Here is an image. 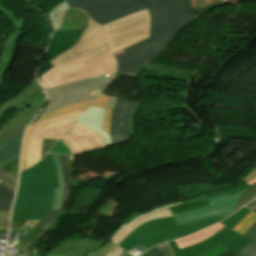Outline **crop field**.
Segmentation results:
<instances>
[{"mask_svg": "<svg viewBox=\"0 0 256 256\" xmlns=\"http://www.w3.org/2000/svg\"><path fill=\"white\" fill-rule=\"evenodd\" d=\"M62 1L66 3L67 8L78 7L86 10L92 20L102 25L148 8L149 37L114 53L118 63L117 73L126 76H137L142 66L150 63L167 48L170 40L180 29L201 17L191 10L188 0Z\"/></svg>", "mask_w": 256, "mask_h": 256, "instance_id": "1", "label": "crop field"}, {"mask_svg": "<svg viewBox=\"0 0 256 256\" xmlns=\"http://www.w3.org/2000/svg\"><path fill=\"white\" fill-rule=\"evenodd\" d=\"M53 187H58L51 154L21 172L20 185L11 221L42 219L53 202Z\"/></svg>", "mask_w": 256, "mask_h": 256, "instance_id": "2", "label": "crop field"}, {"mask_svg": "<svg viewBox=\"0 0 256 256\" xmlns=\"http://www.w3.org/2000/svg\"><path fill=\"white\" fill-rule=\"evenodd\" d=\"M80 56L86 62L62 74L54 67L42 74L39 78L42 86L47 89L96 75L115 72V60L107 47L106 41L87 50Z\"/></svg>", "mask_w": 256, "mask_h": 256, "instance_id": "3", "label": "crop field"}, {"mask_svg": "<svg viewBox=\"0 0 256 256\" xmlns=\"http://www.w3.org/2000/svg\"><path fill=\"white\" fill-rule=\"evenodd\" d=\"M224 218L221 217L180 226L176 225L173 217L152 220L134 229L125 240L123 239L124 241L122 240L123 242L119 246L130 251L141 243L145 247L150 248L167 240L190 235Z\"/></svg>", "mask_w": 256, "mask_h": 256, "instance_id": "4", "label": "crop field"}, {"mask_svg": "<svg viewBox=\"0 0 256 256\" xmlns=\"http://www.w3.org/2000/svg\"><path fill=\"white\" fill-rule=\"evenodd\" d=\"M115 73L47 89L49 102L40 116L81 100L98 97L101 91L114 79Z\"/></svg>", "mask_w": 256, "mask_h": 256, "instance_id": "5", "label": "crop field"}, {"mask_svg": "<svg viewBox=\"0 0 256 256\" xmlns=\"http://www.w3.org/2000/svg\"><path fill=\"white\" fill-rule=\"evenodd\" d=\"M112 53L133 44L149 35L148 10L130 14L104 25Z\"/></svg>", "mask_w": 256, "mask_h": 256, "instance_id": "6", "label": "crop field"}, {"mask_svg": "<svg viewBox=\"0 0 256 256\" xmlns=\"http://www.w3.org/2000/svg\"><path fill=\"white\" fill-rule=\"evenodd\" d=\"M45 99V93L42 91L37 81L34 80L20 95L11 98L3 104L0 108V116L6 112L4 110L12 106L17 108L20 112L0 129V135L35 116L44 105Z\"/></svg>", "mask_w": 256, "mask_h": 256, "instance_id": "7", "label": "crop field"}, {"mask_svg": "<svg viewBox=\"0 0 256 256\" xmlns=\"http://www.w3.org/2000/svg\"><path fill=\"white\" fill-rule=\"evenodd\" d=\"M83 112H77L37 123L29 138L26 168L40 160L42 138L58 139L71 125L74 119Z\"/></svg>", "mask_w": 256, "mask_h": 256, "instance_id": "8", "label": "crop field"}, {"mask_svg": "<svg viewBox=\"0 0 256 256\" xmlns=\"http://www.w3.org/2000/svg\"><path fill=\"white\" fill-rule=\"evenodd\" d=\"M250 240L236 234L226 227H222L216 234L205 241L179 249L175 241L168 242L175 256H198L218 245H223L234 253H238Z\"/></svg>", "mask_w": 256, "mask_h": 256, "instance_id": "9", "label": "crop field"}, {"mask_svg": "<svg viewBox=\"0 0 256 256\" xmlns=\"http://www.w3.org/2000/svg\"><path fill=\"white\" fill-rule=\"evenodd\" d=\"M104 39L103 27L89 20L84 33L75 46L51 60V63L61 73L84 62L79 55Z\"/></svg>", "mask_w": 256, "mask_h": 256, "instance_id": "10", "label": "crop field"}, {"mask_svg": "<svg viewBox=\"0 0 256 256\" xmlns=\"http://www.w3.org/2000/svg\"><path fill=\"white\" fill-rule=\"evenodd\" d=\"M244 190L211 198L209 199L211 206L175 214L174 218L177 224L180 225L230 215L232 214L236 200Z\"/></svg>", "mask_w": 256, "mask_h": 256, "instance_id": "11", "label": "crop field"}, {"mask_svg": "<svg viewBox=\"0 0 256 256\" xmlns=\"http://www.w3.org/2000/svg\"><path fill=\"white\" fill-rule=\"evenodd\" d=\"M60 140L69 147L72 155L106 146L99 134L77 123Z\"/></svg>", "mask_w": 256, "mask_h": 256, "instance_id": "12", "label": "crop field"}, {"mask_svg": "<svg viewBox=\"0 0 256 256\" xmlns=\"http://www.w3.org/2000/svg\"><path fill=\"white\" fill-rule=\"evenodd\" d=\"M136 101L117 98L110 119V136L112 143L129 140V116Z\"/></svg>", "mask_w": 256, "mask_h": 256, "instance_id": "13", "label": "crop field"}, {"mask_svg": "<svg viewBox=\"0 0 256 256\" xmlns=\"http://www.w3.org/2000/svg\"><path fill=\"white\" fill-rule=\"evenodd\" d=\"M0 11L9 15V19H11L16 26V30H19V34L15 32V34H10L8 38L4 41L0 52V88H2L4 84V71L10 68L11 63L13 62V58L15 56L17 43L21 39L22 30L24 25H26V20L17 17V14L9 13L4 8L0 7Z\"/></svg>", "mask_w": 256, "mask_h": 256, "instance_id": "14", "label": "crop field"}, {"mask_svg": "<svg viewBox=\"0 0 256 256\" xmlns=\"http://www.w3.org/2000/svg\"><path fill=\"white\" fill-rule=\"evenodd\" d=\"M107 242L105 239L98 242L85 237L77 241H68L43 256H86L85 253L96 250Z\"/></svg>", "mask_w": 256, "mask_h": 256, "instance_id": "15", "label": "crop field"}, {"mask_svg": "<svg viewBox=\"0 0 256 256\" xmlns=\"http://www.w3.org/2000/svg\"><path fill=\"white\" fill-rule=\"evenodd\" d=\"M183 202H177L171 205H167L158 209H155L153 211H150L148 213H144L142 215H139L138 217H136L134 220L130 221L129 223H127L126 225L122 224L117 231L110 237L111 242L115 243V244H119L123 239H125L128 234L137 226H139L140 224L148 221V220H152V219H156V218H160V217H171L172 214L170 213L168 207L170 206H174V205H178L181 204Z\"/></svg>", "mask_w": 256, "mask_h": 256, "instance_id": "16", "label": "crop field"}, {"mask_svg": "<svg viewBox=\"0 0 256 256\" xmlns=\"http://www.w3.org/2000/svg\"><path fill=\"white\" fill-rule=\"evenodd\" d=\"M96 99L81 101L77 104L69 105V106H67L63 109H59V110L51 112L47 115H44V116L38 118L36 121H34L28 127L27 132H26V136H25V140H24V146H23V153H22L21 170L25 169V166H26V152H27L28 137L30 135L31 129L34 127V125L37 122L44 121L48 118L58 117V116L66 115V114H69V113L86 110L87 108H89L95 102Z\"/></svg>", "mask_w": 256, "mask_h": 256, "instance_id": "17", "label": "crop field"}, {"mask_svg": "<svg viewBox=\"0 0 256 256\" xmlns=\"http://www.w3.org/2000/svg\"><path fill=\"white\" fill-rule=\"evenodd\" d=\"M104 109L92 106L82 116H80L75 122L85 125L92 130L99 133L105 140L107 146L112 145L110 136L102 130V123L104 117Z\"/></svg>", "mask_w": 256, "mask_h": 256, "instance_id": "18", "label": "crop field"}, {"mask_svg": "<svg viewBox=\"0 0 256 256\" xmlns=\"http://www.w3.org/2000/svg\"><path fill=\"white\" fill-rule=\"evenodd\" d=\"M23 132L24 130L0 143L1 168L18 159Z\"/></svg>", "mask_w": 256, "mask_h": 256, "instance_id": "19", "label": "crop field"}, {"mask_svg": "<svg viewBox=\"0 0 256 256\" xmlns=\"http://www.w3.org/2000/svg\"><path fill=\"white\" fill-rule=\"evenodd\" d=\"M89 17L80 9H68L65 11L59 30L84 29Z\"/></svg>", "mask_w": 256, "mask_h": 256, "instance_id": "20", "label": "crop field"}, {"mask_svg": "<svg viewBox=\"0 0 256 256\" xmlns=\"http://www.w3.org/2000/svg\"><path fill=\"white\" fill-rule=\"evenodd\" d=\"M60 157V162H61V166H62V170H63V174H64V182H65V188H63V197H62V203L61 206L59 208V210H55L54 213L51 215L50 219L45 223V225L43 226V228L48 229V227L52 224V222L56 219L58 213L63 210L67 199L70 196V187H69V176H68V167H67V163H66V158L63 155H59Z\"/></svg>", "mask_w": 256, "mask_h": 256, "instance_id": "21", "label": "crop field"}, {"mask_svg": "<svg viewBox=\"0 0 256 256\" xmlns=\"http://www.w3.org/2000/svg\"><path fill=\"white\" fill-rule=\"evenodd\" d=\"M222 226L223 225H221V224L214 225L212 227H209V228H207L203 231H200L196 234H193L191 236L176 240V243L178 244L179 248H183V247L191 245L193 243L202 241V240L210 237L214 233H216Z\"/></svg>", "mask_w": 256, "mask_h": 256, "instance_id": "22", "label": "crop field"}, {"mask_svg": "<svg viewBox=\"0 0 256 256\" xmlns=\"http://www.w3.org/2000/svg\"><path fill=\"white\" fill-rule=\"evenodd\" d=\"M252 239L237 255L239 256H256V222L243 234Z\"/></svg>", "mask_w": 256, "mask_h": 256, "instance_id": "23", "label": "crop field"}, {"mask_svg": "<svg viewBox=\"0 0 256 256\" xmlns=\"http://www.w3.org/2000/svg\"><path fill=\"white\" fill-rule=\"evenodd\" d=\"M52 155L55 161V167H56L57 177L59 181V188H54V202L51 208L58 209L61 202L62 187H64V182H63V175L60 167L59 157L56 154H52Z\"/></svg>", "mask_w": 256, "mask_h": 256, "instance_id": "24", "label": "crop field"}, {"mask_svg": "<svg viewBox=\"0 0 256 256\" xmlns=\"http://www.w3.org/2000/svg\"><path fill=\"white\" fill-rule=\"evenodd\" d=\"M48 233V230L41 228L29 241L27 246L24 248L27 252L26 256H42L37 250L36 246L40 239ZM43 239V238H42Z\"/></svg>", "mask_w": 256, "mask_h": 256, "instance_id": "25", "label": "crop field"}, {"mask_svg": "<svg viewBox=\"0 0 256 256\" xmlns=\"http://www.w3.org/2000/svg\"><path fill=\"white\" fill-rule=\"evenodd\" d=\"M65 8H66L65 4H64V2H62L58 5H56L55 7H53L47 14L49 23H50V27L52 30L57 29Z\"/></svg>", "mask_w": 256, "mask_h": 256, "instance_id": "26", "label": "crop field"}, {"mask_svg": "<svg viewBox=\"0 0 256 256\" xmlns=\"http://www.w3.org/2000/svg\"><path fill=\"white\" fill-rule=\"evenodd\" d=\"M255 221L256 215L250 211L232 230L242 235L248 229V227Z\"/></svg>", "mask_w": 256, "mask_h": 256, "instance_id": "27", "label": "crop field"}, {"mask_svg": "<svg viewBox=\"0 0 256 256\" xmlns=\"http://www.w3.org/2000/svg\"><path fill=\"white\" fill-rule=\"evenodd\" d=\"M255 197H256V183L248 187V189L242 193V195L240 196V198L236 203L235 211L245 203L254 199Z\"/></svg>", "mask_w": 256, "mask_h": 256, "instance_id": "28", "label": "crop field"}, {"mask_svg": "<svg viewBox=\"0 0 256 256\" xmlns=\"http://www.w3.org/2000/svg\"><path fill=\"white\" fill-rule=\"evenodd\" d=\"M14 194L5 186L0 188V210L11 207Z\"/></svg>", "mask_w": 256, "mask_h": 256, "instance_id": "29", "label": "crop field"}, {"mask_svg": "<svg viewBox=\"0 0 256 256\" xmlns=\"http://www.w3.org/2000/svg\"><path fill=\"white\" fill-rule=\"evenodd\" d=\"M108 95L101 94L100 98L98 99L97 103L94 106L104 108L106 107ZM111 115V110L106 109L104 123H103V130L109 133V119Z\"/></svg>", "mask_w": 256, "mask_h": 256, "instance_id": "30", "label": "crop field"}, {"mask_svg": "<svg viewBox=\"0 0 256 256\" xmlns=\"http://www.w3.org/2000/svg\"><path fill=\"white\" fill-rule=\"evenodd\" d=\"M249 211L250 210L247 207H244L221 223L232 229Z\"/></svg>", "mask_w": 256, "mask_h": 256, "instance_id": "31", "label": "crop field"}, {"mask_svg": "<svg viewBox=\"0 0 256 256\" xmlns=\"http://www.w3.org/2000/svg\"><path fill=\"white\" fill-rule=\"evenodd\" d=\"M53 209L45 215V217L30 231V233L25 236L18 245L22 248L24 244L44 225V223L49 219L50 215L53 213Z\"/></svg>", "mask_w": 256, "mask_h": 256, "instance_id": "32", "label": "crop field"}, {"mask_svg": "<svg viewBox=\"0 0 256 256\" xmlns=\"http://www.w3.org/2000/svg\"><path fill=\"white\" fill-rule=\"evenodd\" d=\"M0 181L11 191H15L17 181L0 168Z\"/></svg>", "mask_w": 256, "mask_h": 256, "instance_id": "33", "label": "crop field"}, {"mask_svg": "<svg viewBox=\"0 0 256 256\" xmlns=\"http://www.w3.org/2000/svg\"><path fill=\"white\" fill-rule=\"evenodd\" d=\"M117 245L112 244L110 241L101 247L99 250H96L92 253H88L87 256H104L107 254L109 251H111L113 248H115Z\"/></svg>", "mask_w": 256, "mask_h": 256, "instance_id": "34", "label": "crop field"}, {"mask_svg": "<svg viewBox=\"0 0 256 256\" xmlns=\"http://www.w3.org/2000/svg\"><path fill=\"white\" fill-rule=\"evenodd\" d=\"M48 153H62L66 155H71L70 150L60 140L56 143V145L53 148L50 149Z\"/></svg>", "mask_w": 256, "mask_h": 256, "instance_id": "35", "label": "crop field"}, {"mask_svg": "<svg viewBox=\"0 0 256 256\" xmlns=\"http://www.w3.org/2000/svg\"><path fill=\"white\" fill-rule=\"evenodd\" d=\"M31 119H33V118H31ZM31 119L25 121V122H24L23 124H21L20 126L14 128V129H12L11 131L7 132L6 134H4V135H2V136H0V142L3 141V140H5V139H7L8 137L14 135L15 133H17V132H19V131L25 129L26 125L29 123V121H30Z\"/></svg>", "mask_w": 256, "mask_h": 256, "instance_id": "36", "label": "crop field"}, {"mask_svg": "<svg viewBox=\"0 0 256 256\" xmlns=\"http://www.w3.org/2000/svg\"><path fill=\"white\" fill-rule=\"evenodd\" d=\"M9 212L10 209L0 211V227L8 226Z\"/></svg>", "mask_w": 256, "mask_h": 256, "instance_id": "37", "label": "crop field"}, {"mask_svg": "<svg viewBox=\"0 0 256 256\" xmlns=\"http://www.w3.org/2000/svg\"><path fill=\"white\" fill-rule=\"evenodd\" d=\"M55 141L56 140H52V139H43L41 158L43 157L44 154L47 153V151L51 148V146L55 143Z\"/></svg>", "mask_w": 256, "mask_h": 256, "instance_id": "38", "label": "crop field"}, {"mask_svg": "<svg viewBox=\"0 0 256 256\" xmlns=\"http://www.w3.org/2000/svg\"><path fill=\"white\" fill-rule=\"evenodd\" d=\"M226 250H228V249H226L220 245V246L216 247L215 249H213L205 254H202L200 256H218L219 254L223 253Z\"/></svg>", "mask_w": 256, "mask_h": 256, "instance_id": "39", "label": "crop field"}, {"mask_svg": "<svg viewBox=\"0 0 256 256\" xmlns=\"http://www.w3.org/2000/svg\"><path fill=\"white\" fill-rule=\"evenodd\" d=\"M147 252H148L149 256H163L159 246H155V247L151 248L150 250H148Z\"/></svg>", "mask_w": 256, "mask_h": 256, "instance_id": "40", "label": "crop field"}, {"mask_svg": "<svg viewBox=\"0 0 256 256\" xmlns=\"http://www.w3.org/2000/svg\"><path fill=\"white\" fill-rule=\"evenodd\" d=\"M138 104L139 102L136 103L134 109H133V112L131 114V117H130V130H131V135L134 134V122H133V118H134V115L137 111V108H138Z\"/></svg>", "mask_w": 256, "mask_h": 256, "instance_id": "41", "label": "crop field"}, {"mask_svg": "<svg viewBox=\"0 0 256 256\" xmlns=\"http://www.w3.org/2000/svg\"><path fill=\"white\" fill-rule=\"evenodd\" d=\"M67 162H68V166H69V175H70V183H72V166L74 164L75 161V157H67Z\"/></svg>", "mask_w": 256, "mask_h": 256, "instance_id": "42", "label": "crop field"}, {"mask_svg": "<svg viewBox=\"0 0 256 256\" xmlns=\"http://www.w3.org/2000/svg\"><path fill=\"white\" fill-rule=\"evenodd\" d=\"M123 251H125V250H123L117 246L115 249H113L111 252H109L105 256H119Z\"/></svg>", "mask_w": 256, "mask_h": 256, "instance_id": "43", "label": "crop field"}, {"mask_svg": "<svg viewBox=\"0 0 256 256\" xmlns=\"http://www.w3.org/2000/svg\"><path fill=\"white\" fill-rule=\"evenodd\" d=\"M255 177H256V168L253 171H251L243 181L246 183L254 179Z\"/></svg>", "mask_w": 256, "mask_h": 256, "instance_id": "44", "label": "crop field"}, {"mask_svg": "<svg viewBox=\"0 0 256 256\" xmlns=\"http://www.w3.org/2000/svg\"><path fill=\"white\" fill-rule=\"evenodd\" d=\"M161 250L164 256H173L168 246L162 247Z\"/></svg>", "mask_w": 256, "mask_h": 256, "instance_id": "45", "label": "crop field"}, {"mask_svg": "<svg viewBox=\"0 0 256 256\" xmlns=\"http://www.w3.org/2000/svg\"><path fill=\"white\" fill-rule=\"evenodd\" d=\"M115 99H116V97L110 96L106 108L112 109V108H113V105H114V102H115Z\"/></svg>", "mask_w": 256, "mask_h": 256, "instance_id": "46", "label": "crop field"}, {"mask_svg": "<svg viewBox=\"0 0 256 256\" xmlns=\"http://www.w3.org/2000/svg\"><path fill=\"white\" fill-rule=\"evenodd\" d=\"M220 256H237V255L228 250V251L224 252L223 254H221Z\"/></svg>", "mask_w": 256, "mask_h": 256, "instance_id": "47", "label": "crop field"}, {"mask_svg": "<svg viewBox=\"0 0 256 256\" xmlns=\"http://www.w3.org/2000/svg\"><path fill=\"white\" fill-rule=\"evenodd\" d=\"M135 248H137V249H139V250H141V251H146V250H148L147 248H145V247H143L142 245H138L137 247H135Z\"/></svg>", "mask_w": 256, "mask_h": 256, "instance_id": "48", "label": "crop field"}, {"mask_svg": "<svg viewBox=\"0 0 256 256\" xmlns=\"http://www.w3.org/2000/svg\"><path fill=\"white\" fill-rule=\"evenodd\" d=\"M247 207H250V206H256V200L250 202L249 204L246 205Z\"/></svg>", "mask_w": 256, "mask_h": 256, "instance_id": "49", "label": "crop field"}, {"mask_svg": "<svg viewBox=\"0 0 256 256\" xmlns=\"http://www.w3.org/2000/svg\"><path fill=\"white\" fill-rule=\"evenodd\" d=\"M120 256H131L130 254H128L126 251L123 252Z\"/></svg>", "mask_w": 256, "mask_h": 256, "instance_id": "50", "label": "crop field"}, {"mask_svg": "<svg viewBox=\"0 0 256 256\" xmlns=\"http://www.w3.org/2000/svg\"><path fill=\"white\" fill-rule=\"evenodd\" d=\"M254 182H256V178H255L254 180L250 181L249 183H246V184L251 185V184H253Z\"/></svg>", "mask_w": 256, "mask_h": 256, "instance_id": "51", "label": "crop field"}, {"mask_svg": "<svg viewBox=\"0 0 256 256\" xmlns=\"http://www.w3.org/2000/svg\"><path fill=\"white\" fill-rule=\"evenodd\" d=\"M142 256H148L147 253L143 254Z\"/></svg>", "mask_w": 256, "mask_h": 256, "instance_id": "52", "label": "crop field"}, {"mask_svg": "<svg viewBox=\"0 0 256 256\" xmlns=\"http://www.w3.org/2000/svg\"><path fill=\"white\" fill-rule=\"evenodd\" d=\"M251 209H256V207H251Z\"/></svg>", "mask_w": 256, "mask_h": 256, "instance_id": "53", "label": "crop field"}, {"mask_svg": "<svg viewBox=\"0 0 256 256\" xmlns=\"http://www.w3.org/2000/svg\"><path fill=\"white\" fill-rule=\"evenodd\" d=\"M3 186V184L0 183V187Z\"/></svg>", "mask_w": 256, "mask_h": 256, "instance_id": "54", "label": "crop field"}, {"mask_svg": "<svg viewBox=\"0 0 256 256\" xmlns=\"http://www.w3.org/2000/svg\"><path fill=\"white\" fill-rule=\"evenodd\" d=\"M256 213V210H253Z\"/></svg>", "mask_w": 256, "mask_h": 256, "instance_id": "55", "label": "crop field"}]
</instances>
